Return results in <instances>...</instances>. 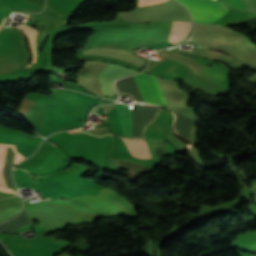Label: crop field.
I'll list each match as a JSON object with an SVG mask.
<instances>
[{"instance_id": "1", "label": "crop field", "mask_w": 256, "mask_h": 256, "mask_svg": "<svg viewBox=\"0 0 256 256\" xmlns=\"http://www.w3.org/2000/svg\"><path fill=\"white\" fill-rule=\"evenodd\" d=\"M25 208L29 221L37 220L47 230H63L67 223L80 220H92L98 217L88 209L68 201H40Z\"/></svg>"}, {"instance_id": "2", "label": "crop field", "mask_w": 256, "mask_h": 256, "mask_svg": "<svg viewBox=\"0 0 256 256\" xmlns=\"http://www.w3.org/2000/svg\"><path fill=\"white\" fill-rule=\"evenodd\" d=\"M189 10L194 21L211 23L222 15L228 9L217 0H179Z\"/></svg>"}, {"instance_id": "3", "label": "crop field", "mask_w": 256, "mask_h": 256, "mask_svg": "<svg viewBox=\"0 0 256 256\" xmlns=\"http://www.w3.org/2000/svg\"><path fill=\"white\" fill-rule=\"evenodd\" d=\"M134 78L147 103L167 105L155 76L139 73L134 75Z\"/></svg>"}, {"instance_id": "4", "label": "crop field", "mask_w": 256, "mask_h": 256, "mask_svg": "<svg viewBox=\"0 0 256 256\" xmlns=\"http://www.w3.org/2000/svg\"><path fill=\"white\" fill-rule=\"evenodd\" d=\"M137 72L138 71H134L128 68L111 64L108 68L103 70L99 75V82L101 85L102 93L116 95L112 82H114L115 80L121 77L128 76Z\"/></svg>"}, {"instance_id": "5", "label": "crop field", "mask_w": 256, "mask_h": 256, "mask_svg": "<svg viewBox=\"0 0 256 256\" xmlns=\"http://www.w3.org/2000/svg\"><path fill=\"white\" fill-rule=\"evenodd\" d=\"M130 154L137 158H150L147 144L144 140H131L122 138Z\"/></svg>"}, {"instance_id": "6", "label": "crop field", "mask_w": 256, "mask_h": 256, "mask_svg": "<svg viewBox=\"0 0 256 256\" xmlns=\"http://www.w3.org/2000/svg\"><path fill=\"white\" fill-rule=\"evenodd\" d=\"M122 127L123 135L129 137L133 105L115 104Z\"/></svg>"}, {"instance_id": "7", "label": "crop field", "mask_w": 256, "mask_h": 256, "mask_svg": "<svg viewBox=\"0 0 256 256\" xmlns=\"http://www.w3.org/2000/svg\"><path fill=\"white\" fill-rule=\"evenodd\" d=\"M17 28H19L20 30H22L28 40H29V44H30V48H31V51H32V54H33V58H32V62L31 63H34L35 62V37H36V33H37V30L34 29V28H31V27H28L26 25H20V26H15Z\"/></svg>"}, {"instance_id": "8", "label": "crop field", "mask_w": 256, "mask_h": 256, "mask_svg": "<svg viewBox=\"0 0 256 256\" xmlns=\"http://www.w3.org/2000/svg\"><path fill=\"white\" fill-rule=\"evenodd\" d=\"M232 7L244 9L245 5L249 0H222Z\"/></svg>"}, {"instance_id": "9", "label": "crop field", "mask_w": 256, "mask_h": 256, "mask_svg": "<svg viewBox=\"0 0 256 256\" xmlns=\"http://www.w3.org/2000/svg\"><path fill=\"white\" fill-rule=\"evenodd\" d=\"M7 21H8V19H6V18L3 19L2 24H1V26H0V29L5 28V26H6V24H7Z\"/></svg>"}, {"instance_id": "10", "label": "crop field", "mask_w": 256, "mask_h": 256, "mask_svg": "<svg viewBox=\"0 0 256 256\" xmlns=\"http://www.w3.org/2000/svg\"><path fill=\"white\" fill-rule=\"evenodd\" d=\"M167 46H168L167 44H166V45L159 46V49L164 48V47H167Z\"/></svg>"}, {"instance_id": "11", "label": "crop field", "mask_w": 256, "mask_h": 256, "mask_svg": "<svg viewBox=\"0 0 256 256\" xmlns=\"http://www.w3.org/2000/svg\"><path fill=\"white\" fill-rule=\"evenodd\" d=\"M98 109H100V108H98ZM98 109H96L95 111H97ZM95 111H93V112H95ZM93 112H92V113H93Z\"/></svg>"}, {"instance_id": "12", "label": "crop field", "mask_w": 256, "mask_h": 256, "mask_svg": "<svg viewBox=\"0 0 256 256\" xmlns=\"http://www.w3.org/2000/svg\"><path fill=\"white\" fill-rule=\"evenodd\" d=\"M250 256H256V255H250Z\"/></svg>"}, {"instance_id": "13", "label": "crop field", "mask_w": 256, "mask_h": 256, "mask_svg": "<svg viewBox=\"0 0 256 256\" xmlns=\"http://www.w3.org/2000/svg\"><path fill=\"white\" fill-rule=\"evenodd\" d=\"M191 39H189V41H190Z\"/></svg>"}]
</instances>
